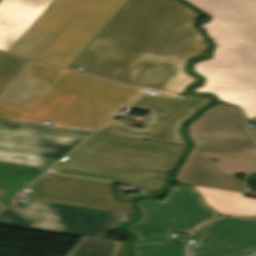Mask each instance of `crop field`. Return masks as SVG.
I'll list each match as a JSON object with an SVG mask.
<instances>
[{
    "mask_svg": "<svg viewBox=\"0 0 256 256\" xmlns=\"http://www.w3.org/2000/svg\"><path fill=\"white\" fill-rule=\"evenodd\" d=\"M200 16L173 0H129L74 64L179 97L197 80L184 71L188 58L208 46L192 27Z\"/></svg>",
    "mask_w": 256,
    "mask_h": 256,
    "instance_id": "crop-field-1",
    "label": "crop field"
},
{
    "mask_svg": "<svg viewBox=\"0 0 256 256\" xmlns=\"http://www.w3.org/2000/svg\"><path fill=\"white\" fill-rule=\"evenodd\" d=\"M143 92L31 60L0 94V119L96 131Z\"/></svg>",
    "mask_w": 256,
    "mask_h": 256,
    "instance_id": "crop-field-2",
    "label": "crop field"
},
{
    "mask_svg": "<svg viewBox=\"0 0 256 256\" xmlns=\"http://www.w3.org/2000/svg\"><path fill=\"white\" fill-rule=\"evenodd\" d=\"M29 187L23 209L0 212L1 225L99 237L132 218L130 203L115 201L110 183L43 175Z\"/></svg>",
    "mask_w": 256,
    "mask_h": 256,
    "instance_id": "crop-field-3",
    "label": "crop field"
},
{
    "mask_svg": "<svg viewBox=\"0 0 256 256\" xmlns=\"http://www.w3.org/2000/svg\"><path fill=\"white\" fill-rule=\"evenodd\" d=\"M212 15L200 25L215 44L214 58L195 65L206 78L195 91L225 100L256 90V0H186ZM241 108L247 119L256 116V92L224 101Z\"/></svg>",
    "mask_w": 256,
    "mask_h": 256,
    "instance_id": "crop-field-4",
    "label": "crop field"
},
{
    "mask_svg": "<svg viewBox=\"0 0 256 256\" xmlns=\"http://www.w3.org/2000/svg\"><path fill=\"white\" fill-rule=\"evenodd\" d=\"M246 120L241 109L218 104L191 122L188 134L194 148L179 167L176 180L243 192L245 186L233 175L247 174L256 157V147L242 126Z\"/></svg>",
    "mask_w": 256,
    "mask_h": 256,
    "instance_id": "crop-field-5",
    "label": "crop field"
},
{
    "mask_svg": "<svg viewBox=\"0 0 256 256\" xmlns=\"http://www.w3.org/2000/svg\"><path fill=\"white\" fill-rule=\"evenodd\" d=\"M184 147L96 133L52 169L62 175L161 189Z\"/></svg>",
    "mask_w": 256,
    "mask_h": 256,
    "instance_id": "crop-field-6",
    "label": "crop field"
},
{
    "mask_svg": "<svg viewBox=\"0 0 256 256\" xmlns=\"http://www.w3.org/2000/svg\"><path fill=\"white\" fill-rule=\"evenodd\" d=\"M126 2L55 0L9 52L67 67Z\"/></svg>",
    "mask_w": 256,
    "mask_h": 256,
    "instance_id": "crop-field-7",
    "label": "crop field"
},
{
    "mask_svg": "<svg viewBox=\"0 0 256 256\" xmlns=\"http://www.w3.org/2000/svg\"><path fill=\"white\" fill-rule=\"evenodd\" d=\"M137 205L143 216L129 227L139 235L132 244L136 256H185V245L169 244L172 232L190 233L221 216L205 206L192 188L183 186L172 187L161 201L144 200Z\"/></svg>",
    "mask_w": 256,
    "mask_h": 256,
    "instance_id": "crop-field-8",
    "label": "crop field"
},
{
    "mask_svg": "<svg viewBox=\"0 0 256 256\" xmlns=\"http://www.w3.org/2000/svg\"><path fill=\"white\" fill-rule=\"evenodd\" d=\"M207 103L208 96L184 100L161 94L143 95L130 106L151 109L144 128L125 127L121 121L112 119L97 132L186 145L180 135V124Z\"/></svg>",
    "mask_w": 256,
    "mask_h": 256,
    "instance_id": "crop-field-9",
    "label": "crop field"
},
{
    "mask_svg": "<svg viewBox=\"0 0 256 256\" xmlns=\"http://www.w3.org/2000/svg\"><path fill=\"white\" fill-rule=\"evenodd\" d=\"M81 139L0 129V161L48 168Z\"/></svg>",
    "mask_w": 256,
    "mask_h": 256,
    "instance_id": "crop-field-10",
    "label": "crop field"
},
{
    "mask_svg": "<svg viewBox=\"0 0 256 256\" xmlns=\"http://www.w3.org/2000/svg\"><path fill=\"white\" fill-rule=\"evenodd\" d=\"M202 232L189 256H246L256 253V219L225 218L213 221Z\"/></svg>",
    "mask_w": 256,
    "mask_h": 256,
    "instance_id": "crop-field-11",
    "label": "crop field"
},
{
    "mask_svg": "<svg viewBox=\"0 0 256 256\" xmlns=\"http://www.w3.org/2000/svg\"><path fill=\"white\" fill-rule=\"evenodd\" d=\"M53 1L0 0V49L8 51Z\"/></svg>",
    "mask_w": 256,
    "mask_h": 256,
    "instance_id": "crop-field-12",
    "label": "crop field"
},
{
    "mask_svg": "<svg viewBox=\"0 0 256 256\" xmlns=\"http://www.w3.org/2000/svg\"><path fill=\"white\" fill-rule=\"evenodd\" d=\"M193 187L203 195L207 205L223 215L256 217V199L243 197L239 192Z\"/></svg>",
    "mask_w": 256,
    "mask_h": 256,
    "instance_id": "crop-field-13",
    "label": "crop field"
},
{
    "mask_svg": "<svg viewBox=\"0 0 256 256\" xmlns=\"http://www.w3.org/2000/svg\"><path fill=\"white\" fill-rule=\"evenodd\" d=\"M45 170L0 162V203H5Z\"/></svg>",
    "mask_w": 256,
    "mask_h": 256,
    "instance_id": "crop-field-14",
    "label": "crop field"
},
{
    "mask_svg": "<svg viewBox=\"0 0 256 256\" xmlns=\"http://www.w3.org/2000/svg\"><path fill=\"white\" fill-rule=\"evenodd\" d=\"M66 256H129L126 243L81 239Z\"/></svg>",
    "mask_w": 256,
    "mask_h": 256,
    "instance_id": "crop-field-15",
    "label": "crop field"
},
{
    "mask_svg": "<svg viewBox=\"0 0 256 256\" xmlns=\"http://www.w3.org/2000/svg\"><path fill=\"white\" fill-rule=\"evenodd\" d=\"M0 128L31 131V132L60 135V136H67V137H74V138H81V139H85L90 134H92L90 132L55 128V127L38 126V125H31V124L4 121V120H0Z\"/></svg>",
    "mask_w": 256,
    "mask_h": 256,
    "instance_id": "crop-field-16",
    "label": "crop field"
},
{
    "mask_svg": "<svg viewBox=\"0 0 256 256\" xmlns=\"http://www.w3.org/2000/svg\"><path fill=\"white\" fill-rule=\"evenodd\" d=\"M28 61L29 59L0 52V92Z\"/></svg>",
    "mask_w": 256,
    "mask_h": 256,
    "instance_id": "crop-field-17",
    "label": "crop field"
},
{
    "mask_svg": "<svg viewBox=\"0 0 256 256\" xmlns=\"http://www.w3.org/2000/svg\"><path fill=\"white\" fill-rule=\"evenodd\" d=\"M248 132L250 133V135L254 138V140L256 141V127L248 129ZM250 173H256V162L251 170Z\"/></svg>",
    "mask_w": 256,
    "mask_h": 256,
    "instance_id": "crop-field-18",
    "label": "crop field"
},
{
    "mask_svg": "<svg viewBox=\"0 0 256 256\" xmlns=\"http://www.w3.org/2000/svg\"><path fill=\"white\" fill-rule=\"evenodd\" d=\"M252 121H256V119H255V120H252Z\"/></svg>",
    "mask_w": 256,
    "mask_h": 256,
    "instance_id": "crop-field-19",
    "label": "crop field"
},
{
    "mask_svg": "<svg viewBox=\"0 0 256 256\" xmlns=\"http://www.w3.org/2000/svg\"><path fill=\"white\" fill-rule=\"evenodd\" d=\"M0 208H1V205H0Z\"/></svg>",
    "mask_w": 256,
    "mask_h": 256,
    "instance_id": "crop-field-20",
    "label": "crop field"
}]
</instances>
